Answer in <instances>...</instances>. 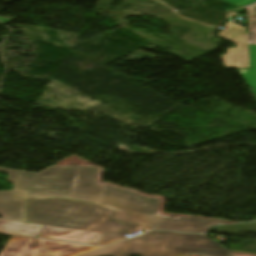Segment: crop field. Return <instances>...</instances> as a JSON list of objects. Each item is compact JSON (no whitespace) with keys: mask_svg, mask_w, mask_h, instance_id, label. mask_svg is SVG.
<instances>
[{"mask_svg":"<svg viewBox=\"0 0 256 256\" xmlns=\"http://www.w3.org/2000/svg\"><path fill=\"white\" fill-rule=\"evenodd\" d=\"M26 199L27 222L104 233L96 245H107L123 239L137 227H147L108 222L115 210L91 203L62 198L39 200L26 196Z\"/></svg>","mask_w":256,"mask_h":256,"instance_id":"8a807250","label":"crop field"},{"mask_svg":"<svg viewBox=\"0 0 256 256\" xmlns=\"http://www.w3.org/2000/svg\"><path fill=\"white\" fill-rule=\"evenodd\" d=\"M187 253L230 256L224 247L206 236L161 231H151L78 256H182Z\"/></svg>","mask_w":256,"mask_h":256,"instance_id":"ac0d7876","label":"crop field"},{"mask_svg":"<svg viewBox=\"0 0 256 256\" xmlns=\"http://www.w3.org/2000/svg\"><path fill=\"white\" fill-rule=\"evenodd\" d=\"M97 168L79 167L71 200L96 203L117 210L156 215L160 199L142 197L110 185H96Z\"/></svg>","mask_w":256,"mask_h":256,"instance_id":"34b2d1b8","label":"crop field"},{"mask_svg":"<svg viewBox=\"0 0 256 256\" xmlns=\"http://www.w3.org/2000/svg\"><path fill=\"white\" fill-rule=\"evenodd\" d=\"M77 166L51 167L39 174L0 168L8 172L6 179L14 183V191L30 197L70 199Z\"/></svg>","mask_w":256,"mask_h":256,"instance_id":"412701ff","label":"crop field"},{"mask_svg":"<svg viewBox=\"0 0 256 256\" xmlns=\"http://www.w3.org/2000/svg\"><path fill=\"white\" fill-rule=\"evenodd\" d=\"M236 14V12H231L226 18L229 19ZM225 25L226 30L219 32L217 37L236 43L237 48H227V55H220L224 67L249 68L246 28L231 21H228Z\"/></svg>","mask_w":256,"mask_h":256,"instance_id":"f4fd0767","label":"crop field"},{"mask_svg":"<svg viewBox=\"0 0 256 256\" xmlns=\"http://www.w3.org/2000/svg\"><path fill=\"white\" fill-rule=\"evenodd\" d=\"M152 222L151 229L173 230L192 233H203L210 226L220 220L168 217V216H147Z\"/></svg>","mask_w":256,"mask_h":256,"instance_id":"dd49c442","label":"crop field"},{"mask_svg":"<svg viewBox=\"0 0 256 256\" xmlns=\"http://www.w3.org/2000/svg\"><path fill=\"white\" fill-rule=\"evenodd\" d=\"M25 196L14 191H0V216L25 221Z\"/></svg>","mask_w":256,"mask_h":256,"instance_id":"e52e79f7","label":"crop field"},{"mask_svg":"<svg viewBox=\"0 0 256 256\" xmlns=\"http://www.w3.org/2000/svg\"><path fill=\"white\" fill-rule=\"evenodd\" d=\"M103 234L44 226L39 237L96 244Z\"/></svg>","mask_w":256,"mask_h":256,"instance_id":"d8731c3e","label":"crop field"},{"mask_svg":"<svg viewBox=\"0 0 256 256\" xmlns=\"http://www.w3.org/2000/svg\"><path fill=\"white\" fill-rule=\"evenodd\" d=\"M53 256H74L98 247L38 239Z\"/></svg>","mask_w":256,"mask_h":256,"instance_id":"5a996713","label":"crop field"},{"mask_svg":"<svg viewBox=\"0 0 256 256\" xmlns=\"http://www.w3.org/2000/svg\"><path fill=\"white\" fill-rule=\"evenodd\" d=\"M42 226L0 219V233L36 237Z\"/></svg>","mask_w":256,"mask_h":256,"instance_id":"3316defc","label":"crop field"},{"mask_svg":"<svg viewBox=\"0 0 256 256\" xmlns=\"http://www.w3.org/2000/svg\"><path fill=\"white\" fill-rule=\"evenodd\" d=\"M32 239L11 237L0 256H21Z\"/></svg>","mask_w":256,"mask_h":256,"instance_id":"28ad6ade","label":"crop field"},{"mask_svg":"<svg viewBox=\"0 0 256 256\" xmlns=\"http://www.w3.org/2000/svg\"><path fill=\"white\" fill-rule=\"evenodd\" d=\"M109 221L148 225L147 229H150L152 226L148 218L145 217L144 215L129 214L117 211H115V213L111 216Z\"/></svg>","mask_w":256,"mask_h":256,"instance_id":"d1516ede","label":"crop field"},{"mask_svg":"<svg viewBox=\"0 0 256 256\" xmlns=\"http://www.w3.org/2000/svg\"><path fill=\"white\" fill-rule=\"evenodd\" d=\"M251 53V69H239L244 79L250 87H255V90H252L256 94V46H250Z\"/></svg>","mask_w":256,"mask_h":256,"instance_id":"22f410ed","label":"crop field"},{"mask_svg":"<svg viewBox=\"0 0 256 256\" xmlns=\"http://www.w3.org/2000/svg\"><path fill=\"white\" fill-rule=\"evenodd\" d=\"M250 34L248 35L249 44L256 45V4L248 7Z\"/></svg>","mask_w":256,"mask_h":256,"instance_id":"cbeb9de0","label":"crop field"},{"mask_svg":"<svg viewBox=\"0 0 256 256\" xmlns=\"http://www.w3.org/2000/svg\"><path fill=\"white\" fill-rule=\"evenodd\" d=\"M22 256H51L35 239Z\"/></svg>","mask_w":256,"mask_h":256,"instance_id":"5142ce71","label":"crop field"},{"mask_svg":"<svg viewBox=\"0 0 256 256\" xmlns=\"http://www.w3.org/2000/svg\"><path fill=\"white\" fill-rule=\"evenodd\" d=\"M224 1L228 2L229 4H231L233 6L239 7V6L251 3V2H255L256 0H224Z\"/></svg>","mask_w":256,"mask_h":256,"instance_id":"d9b57169","label":"crop field"},{"mask_svg":"<svg viewBox=\"0 0 256 256\" xmlns=\"http://www.w3.org/2000/svg\"><path fill=\"white\" fill-rule=\"evenodd\" d=\"M234 256H243V255H237V254H234Z\"/></svg>","mask_w":256,"mask_h":256,"instance_id":"733c2abd","label":"crop field"}]
</instances>
